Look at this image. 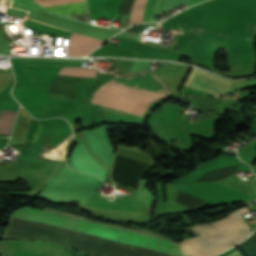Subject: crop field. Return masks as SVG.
<instances>
[{"label": "crop field", "instance_id": "2", "mask_svg": "<svg viewBox=\"0 0 256 256\" xmlns=\"http://www.w3.org/2000/svg\"><path fill=\"white\" fill-rule=\"evenodd\" d=\"M11 218L47 223L85 235L183 256L177 244L167 240L128 232L55 212L22 208L15 211Z\"/></svg>", "mask_w": 256, "mask_h": 256}, {"label": "crop field", "instance_id": "8", "mask_svg": "<svg viewBox=\"0 0 256 256\" xmlns=\"http://www.w3.org/2000/svg\"><path fill=\"white\" fill-rule=\"evenodd\" d=\"M86 205L113 210L129 211H134L146 207L142 201L135 199L134 197H114V200L110 201L106 198L98 196L96 193H93L90 196Z\"/></svg>", "mask_w": 256, "mask_h": 256}, {"label": "crop field", "instance_id": "5", "mask_svg": "<svg viewBox=\"0 0 256 256\" xmlns=\"http://www.w3.org/2000/svg\"><path fill=\"white\" fill-rule=\"evenodd\" d=\"M235 81H228L210 73L193 68L185 85L211 94L219 95L231 87Z\"/></svg>", "mask_w": 256, "mask_h": 256}, {"label": "crop field", "instance_id": "14", "mask_svg": "<svg viewBox=\"0 0 256 256\" xmlns=\"http://www.w3.org/2000/svg\"><path fill=\"white\" fill-rule=\"evenodd\" d=\"M16 111H0V132L10 133Z\"/></svg>", "mask_w": 256, "mask_h": 256}, {"label": "crop field", "instance_id": "17", "mask_svg": "<svg viewBox=\"0 0 256 256\" xmlns=\"http://www.w3.org/2000/svg\"><path fill=\"white\" fill-rule=\"evenodd\" d=\"M164 30H166V29H164ZM178 31H180V30H178ZM181 32L183 33V32H188V31H181ZM195 32H199V30H196Z\"/></svg>", "mask_w": 256, "mask_h": 256}, {"label": "crop field", "instance_id": "6", "mask_svg": "<svg viewBox=\"0 0 256 256\" xmlns=\"http://www.w3.org/2000/svg\"><path fill=\"white\" fill-rule=\"evenodd\" d=\"M120 81L139 88L170 94L166 85L150 71H137L118 76Z\"/></svg>", "mask_w": 256, "mask_h": 256}, {"label": "crop field", "instance_id": "12", "mask_svg": "<svg viewBox=\"0 0 256 256\" xmlns=\"http://www.w3.org/2000/svg\"><path fill=\"white\" fill-rule=\"evenodd\" d=\"M217 183H219L223 186L232 188V189H234L238 192H242V193L251 195V196L256 198V193H255V190L253 188V185L249 184L247 182H241L237 179L229 177L225 180L218 181Z\"/></svg>", "mask_w": 256, "mask_h": 256}, {"label": "crop field", "instance_id": "16", "mask_svg": "<svg viewBox=\"0 0 256 256\" xmlns=\"http://www.w3.org/2000/svg\"><path fill=\"white\" fill-rule=\"evenodd\" d=\"M228 256H241V255L239 254L238 251H236V252H234V253H232V254H230V255H228Z\"/></svg>", "mask_w": 256, "mask_h": 256}, {"label": "crop field", "instance_id": "9", "mask_svg": "<svg viewBox=\"0 0 256 256\" xmlns=\"http://www.w3.org/2000/svg\"><path fill=\"white\" fill-rule=\"evenodd\" d=\"M30 120L31 118L24 112V110H21L10 143H23ZM41 124V122L33 119L31 120L24 143L35 141L37 139Z\"/></svg>", "mask_w": 256, "mask_h": 256}, {"label": "crop field", "instance_id": "13", "mask_svg": "<svg viewBox=\"0 0 256 256\" xmlns=\"http://www.w3.org/2000/svg\"><path fill=\"white\" fill-rule=\"evenodd\" d=\"M162 0H148L143 12L141 22H156L154 16L163 13L161 8Z\"/></svg>", "mask_w": 256, "mask_h": 256}, {"label": "crop field", "instance_id": "10", "mask_svg": "<svg viewBox=\"0 0 256 256\" xmlns=\"http://www.w3.org/2000/svg\"><path fill=\"white\" fill-rule=\"evenodd\" d=\"M34 1L39 3L42 6H47V5L82 2L85 0H34ZM45 8L49 11L56 12L62 15L83 13V12H87V2L57 5V6H47Z\"/></svg>", "mask_w": 256, "mask_h": 256}, {"label": "crop field", "instance_id": "15", "mask_svg": "<svg viewBox=\"0 0 256 256\" xmlns=\"http://www.w3.org/2000/svg\"><path fill=\"white\" fill-rule=\"evenodd\" d=\"M202 1H204V0H191V1H189V2L184 3V5H185L186 7H189V6H191V5L200 3V2H202Z\"/></svg>", "mask_w": 256, "mask_h": 256}, {"label": "crop field", "instance_id": "3", "mask_svg": "<svg viewBox=\"0 0 256 256\" xmlns=\"http://www.w3.org/2000/svg\"><path fill=\"white\" fill-rule=\"evenodd\" d=\"M249 213L243 207L226 217L194 229L198 236L181 242L185 256H215L240 242L250 231L240 215Z\"/></svg>", "mask_w": 256, "mask_h": 256}, {"label": "crop field", "instance_id": "7", "mask_svg": "<svg viewBox=\"0 0 256 256\" xmlns=\"http://www.w3.org/2000/svg\"><path fill=\"white\" fill-rule=\"evenodd\" d=\"M70 157L79 170L98 175L103 181L106 180L107 171L90 155L83 142L77 143Z\"/></svg>", "mask_w": 256, "mask_h": 256}, {"label": "crop field", "instance_id": "19", "mask_svg": "<svg viewBox=\"0 0 256 256\" xmlns=\"http://www.w3.org/2000/svg\"><path fill=\"white\" fill-rule=\"evenodd\" d=\"M188 99V98H187Z\"/></svg>", "mask_w": 256, "mask_h": 256}, {"label": "crop field", "instance_id": "11", "mask_svg": "<svg viewBox=\"0 0 256 256\" xmlns=\"http://www.w3.org/2000/svg\"><path fill=\"white\" fill-rule=\"evenodd\" d=\"M90 78H94V77H90ZM90 78H62V77H56L54 79L52 85L75 88L76 85L79 84L81 81L86 80V79H90ZM48 97L78 102L77 97H74V96H67V95H59V94L49 93Z\"/></svg>", "mask_w": 256, "mask_h": 256}, {"label": "crop field", "instance_id": "4", "mask_svg": "<svg viewBox=\"0 0 256 256\" xmlns=\"http://www.w3.org/2000/svg\"><path fill=\"white\" fill-rule=\"evenodd\" d=\"M162 96L166 95L129 88L111 80L94 93L89 104L140 116L151 101Z\"/></svg>", "mask_w": 256, "mask_h": 256}, {"label": "crop field", "instance_id": "1", "mask_svg": "<svg viewBox=\"0 0 256 256\" xmlns=\"http://www.w3.org/2000/svg\"><path fill=\"white\" fill-rule=\"evenodd\" d=\"M6 237L40 240L74 248L93 256H176L24 220H12V225L8 229Z\"/></svg>", "mask_w": 256, "mask_h": 256}, {"label": "crop field", "instance_id": "18", "mask_svg": "<svg viewBox=\"0 0 256 256\" xmlns=\"http://www.w3.org/2000/svg\"><path fill=\"white\" fill-rule=\"evenodd\" d=\"M253 172L256 174V168L255 167H253Z\"/></svg>", "mask_w": 256, "mask_h": 256}]
</instances>
